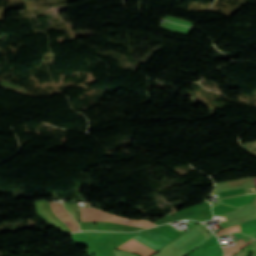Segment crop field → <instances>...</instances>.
Instances as JSON below:
<instances>
[{
    "label": "crop field",
    "instance_id": "obj_1",
    "mask_svg": "<svg viewBox=\"0 0 256 256\" xmlns=\"http://www.w3.org/2000/svg\"><path fill=\"white\" fill-rule=\"evenodd\" d=\"M133 239L156 251L160 250L165 244L172 241L152 229L139 233L138 236H135ZM134 240H130L118 248L140 253L142 256H149L156 252Z\"/></svg>",
    "mask_w": 256,
    "mask_h": 256
},
{
    "label": "crop field",
    "instance_id": "obj_2",
    "mask_svg": "<svg viewBox=\"0 0 256 256\" xmlns=\"http://www.w3.org/2000/svg\"><path fill=\"white\" fill-rule=\"evenodd\" d=\"M208 239L205 238L198 230L195 228L188 231L182 237L174 241L173 243L185 254L187 255L193 249L197 248Z\"/></svg>",
    "mask_w": 256,
    "mask_h": 256
},
{
    "label": "crop field",
    "instance_id": "obj_3",
    "mask_svg": "<svg viewBox=\"0 0 256 256\" xmlns=\"http://www.w3.org/2000/svg\"><path fill=\"white\" fill-rule=\"evenodd\" d=\"M189 256H223V251L214 235L206 243L192 251Z\"/></svg>",
    "mask_w": 256,
    "mask_h": 256
},
{
    "label": "crop field",
    "instance_id": "obj_4",
    "mask_svg": "<svg viewBox=\"0 0 256 256\" xmlns=\"http://www.w3.org/2000/svg\"><path fill=\"white\" fill-rule=\"evenodd\" d=\"M80 209L82 221H110L114 217V215L94 208L80 207Z\"/></svg>",
    "mask_w": 256,
    "mask_h": 256
},
{
    "label": "crop field",
    "instance_id": "obj_5",
    "mask_svg": "<svg viewBox=\"0 0 256 256\" xmlns=\"http://www.w3.org/2000/svg\"><path fill=\"white\" fill-rule=\"evenodd\" d=\"M60 205V204H59ZM62 205V204H61ZM61 205H60V207H61ZM62 208L64 209V207L62 206ZM61 208V209H62ZM62 209V210H63ZM64 211V210H63ZM67 212V211H66ZM65 211H64V213L67 215V213H66ZM69 215V214H68ZM65 223H66V225L71 229V231L72 232H77V231H79V226H78V224L73 220V218L71 217V215H69V216H66V217H62L61 218Z\"/></svg>",
    "mask_w": 256,
    "mask_h": 256
},
{
    "label": "crop field",
    "instance_id": "obj_6",
    "mask_svg": "<svg viewBox=\"0 0 256 256\" xmlns=\"http://www.w3.org/2000/svg\"><path fill=\"white\" fill-rule=\"evenodd\" d=\"M241 228H242V232H243V223L241 224ZM241 228H240V224H239L237 226L225 228V229L217 232L216 234L219 237L220 235H223V234H226V233H229V232L241 231Z\"/></svg>",
    "mask_w": 256,
    "mask_h": 256
},
{
    "label": "crop field",
    "instance_id": "obj_7",
    "mask_svg": "<svg viewBox=\"0 0 256 256\" xmlns=\"http://www.w3.org/2000/svg\"><path fill=\"white\" fill-rule=\"evenodd\" d=\"M248 253V248L245 247L244 249H242L240 252H238L237 254L233 255V256H247Z\"/></svg>",
    "mask_w": 256,
    "mask_h": 256
},
{
    "label": "crop field",
    "instance_id": "obj_8",
    "mask_svg": "<svg viewBox=\"0 0 256 256\" xmlns=\"http://www.w3.org/2000/svg\"><path fill=\"white\" fill-rule=\"evenodd\" d=\"M251 179H252L253 184H254V186H255V188H256V178H251Z\"/></svg>",
    "mask_w": 256,
    "mask_h": 256
}]
</instances>
